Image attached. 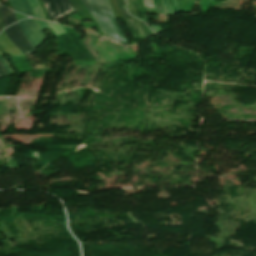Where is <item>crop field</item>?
Wrapping results in <instances>:
<instances>
[{"mask_svg":"<svg viewBox=\"0 0 256 256\" xmlns=\"http://www.w3.org/2000/svg\"><path fill=\"white\" fill-rule=\"evenodd\" d=\"M107 38L129 45L108 4V0H80Z\"/></svg>","mask_w":256,"mask_h":256,"instance_id":"8a807250","label":"crop field"},{"mask_svg":"<svg viewBox=\"0 0 256 256\" xmlns=\"http://www.w3.org/2000/svg\"><path fill=\"white\" fill-rule=\"evenodd\" d=\"M167 14L174 13L168 0H161Z\"/></svg>","mask_w":256,"mask_h":256,"instance_id":"d8731c3e","label":"crop field"},{"mask_svg":"<svg viewBox=\"0 0 256 256\" xmlns=\"http://www.w3.org/2000/svg\"><path fill=\"white\" fill-rule=\"evenodd\" d=\"M0 60L2 61V63L5 65V67L7 68L9 74H13V72L11 71V69L9 68V66L7 65V63L5 62V60L3 59V57L0 55Z\"/></svg>","mask_w":256,"mask_h":256,"instance_id":"d1516ede","label":"crop field"},{"mask_svg":"<svg viewBox=\"0 0 256 256\" xmlns=\"http://www.w3.org/2000/svg\"><path fill=\"white\" fill-rule=\"evenodd\" d=\"M18 24L35 49L47 39L38 29L33 19L22 20Z\"/></svg>","mask_w":256,"mask_h":256,"instance_id":"412701ff","label":"crop field"},{"mask_svg":"<svg viewBox=\"0 0 256 256\" xmlns=\"http://www.w3.org/2000/svg\"><path fill=\"white\" fill-rule=\"evenodd\" d=\"M6 35L16 44V46L21 50L24 57L35 53V49L28 42V40L22 34L18 24H14L6 29H4Z\"/></svg>","mask_w":256,"mask_h":256,"instance_id":"34b2d1b8","label":"crop field"},{"mask_svg":"<svg viewBox=\"0 0 256 256\" xmlns=\"http://www.w3.org/2000/svg\"><path fill=\"white\" fill-rule=\"evenodd\" d=\"M154 32L162 31L160 25H150Z\"/></svg>","mask_w":256,"mask_h":256,"instance_id":"22f410ed","label":"crop field"},{"mask_svg":"<svg viewBox=\"0 0 256 256\" xmlns=\"http://www.w3.org/2000/svg\"><path fill=\"white\" fill-rule=\"evenodd\" d=\"M146 7L154 8L152 0H143ZM155 9V8H154Z\"/></svg>","mask_w":256,"mask_h":256,"instance_id":"28ad6ade","label":"crop field"},{"mask_svg":"<svg viewBox=\"0 0 256 256\" xmlns=\"http://www.w3.org/2000/svg\"><path fill=\"white\" fill-rule=\"evenodd\" d=\"M3 29L1 19H0V31Z\"/></svg>","mask_w":256,"mask_h":256,"instance_id":"cbeb9de0","label":"crop field"},{"mask_svg":"<svg viewBox=\"0 0 256 256\" xmlns=\"http://www.w3.org/2000/svg\"><path fill=\"white\" fill-rule=\"evenodd\" d=\"M29 2V5H30V8H31V11L33 13V16L36 17V18H43V15L41 13V9L38 5V3L36 2V0H28Z\"/></svg>","mask_w":256,"mask_h":256,"instance_id":"e52e79f7","label":"crop field"},{"mask_svg":"<svg viewBox=\"0 0 256 256\" xmlns=\"http://www.w3.org/2000/svg\"><path fill=\"white\" fill-rule=\"evenodd\" d=\"M8 72L6 70V68L3 66V64L0 61V78L4 77V76H8Z\"/></svg>","mask_w":256,"mask_h":256,"instance_id":"5a996713","label":"crop field"},{"mask_svg":"<svg viewBox=\"0 0 256 256\" xmlns=\"http://www.w3.org/2000/svg\"><path fill=\"white\" fill-rule=\"evenodd\" d=\"M9 2L15 11L31 16V12L26 0H9Z\"/></svg>","mask_w":256,"mask_h":256,"instance_id":"f4fd0767","label":"crop field"},{"mask_svg":"<svg viewBox=\"0 0 256 256\" xmlns=\"http://www.w3.org/2000/svg\"><path fill=\"white\" fill-rule=\"evenodd\" d=\"M35 20H36V22H37V24H38V26H39L40 29L48 28V26H47V24H46L45 21H43V20H37V19H35Z\"/></svg>","mask_w":256,"mask_h":256,"instance_id":"3316defc","label":"crop field"},{"mask_svg":"<svg viewBox=\"0 0 256 256\" xmlns=\"http://www.w3.org/2000/svg\"><path fill=\"white\" fill-rule=\"evenodd\" d=\"M49 18L52 22L58 24L57 19L75 12L68 0H42Z\"/></svg>","mask_w":256,"mask_h":256,"instance_id":"ac0d7876","label":"crop field"},{"mask_svg":"<svg viewBox=\"0 0 256 256\" xmlns=\"http://www.w3.org/2000/svg\"><path fill=\"white\" fill-rule=\"evenodd\" d=\"M0 12L4 28L16 22L14 13L12 11L0 6Z\"/></svg>","mask_w":256,"mask_h":256,"instance_id":"dd49c442","label":"crop field"}]
</instances>
